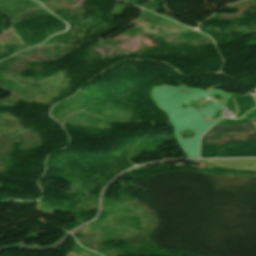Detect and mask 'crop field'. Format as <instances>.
Listing matches in <instances>:
<instances>
[{
	"mask_svg": "<svg viewBox=\"0 0 256 256\" xmlns=\"http://www.w3.org/2000/svg\"><path fill=\"white\" fill-rule=\"evenodd\" d=\"M215 135H219L215 139ZM256 140V129L252 122L236 126H213L203 135L201 146L225 145L233 141ZM230 146L201 147L200 157H241L256 156V141L235 142ZM222 147L223 152L218 148Z\"/></svg>",
	"mask_w": 256,
	"mask_h": 256,
	"instance_id": "1",
	"label": "crop field"
},
{
	"mask_svg": "<svg viewBox=\"0 0 256 256\" xmlns=\"http://www.w3.org/2000/svg\"><path fill=\"white\" fill-rule=\"evenodd\" d=\"M212 118H209V119H207V120H211Z\"/></svg>",
	"mask_w": 256,
	"mask_h": 256,
	"instance_id": "2",
	"label": "crop field"
}]
</instances>
